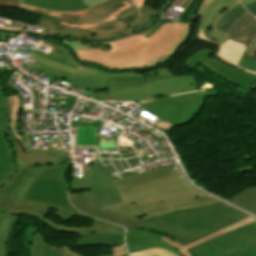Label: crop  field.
Returning <instances> with one entry per match:
<instances>
[{"label":"crop field","instance_id":"28ad6ade","mask_svg":"<svg viewBox=\"0 0 256 256\" xmlns=\"http://www.w3.org/2000/svg\"><path fill=\"white\" fill-rule=\"evenodd\" d=\"M219 202L211 196L152 204H118L105 209L150 222L171 213L199 208Z\"/></svg>","mask_w":256,"mask_h":256},{"label":"crop field","instance_id":"22f410ed","mask_svg":"<svg viewBox=\"0 0 256 256\" xmlns=\"http://www.w3.org/2000/svg\"><path fill=\"white\" fill-rule=\"evenodd\" d=\"M214 53L215 52L206 49L198 51L187 58L185 63L190 69L201 63L215 74L226 80L230 78L231 80H229V82L242 86L247 90L250 88L251 84L256 81V75L242 72L220 62V59L213 55Z\"/></svg>","mask_w":256,"mask_h":256},{"label":"crop field","instance_id":"8a807250","mask_svg":"<svg viewBox=\"0 0 256 256\" xmlns=\"http://www.w3.org/2000/svg\"><path fill=\"white\" fill-rule=\"evenodd\" d=\"M69 196L77 209L87 214L124 225L127 230L145 229L166 235L183 246L250 216L219 202L145 223L96 206L89 197V191L69 192Z\"/></svg>","mask_w":256,"mask_h":256},{"label":"crop field","instance_id":"c035e120","mask_svg":"<svg viewBox=\"0 0 256 256\" xmlns=\"http://www.w3.org/2000/svg\"><path fill=\"white\" fill-rule=\"evenodd\" d=\"M76 99H77L76 97L68 95L66 104L63 109L72 110V108L76 102Z\"/></svg>","mask_w":256,"mask_h":256},{"label":"crop field","instance_id":"3316defc","mask_svg":"<svg viewBox=\"0 0 256 256\" xmlns=\"http://www.w3.org/2000/svg\"><path fill=\"white\" fill-rule=\"evenodd\" d=\"M10 109L4 110L5 129L10 128L16 141L10 142L13 147V154L16 158L17 167L43 165V164H61L64 160H69L64 149L26 153L19 144L21 135L18 132V123L21 112L19 95L8 97Z\"/></svg>","mask_w":256,"mask_h":256},{"label":"crop field","instance_id":"5d738f31","mask_svg":"<svg viewBox=\"0 0 256 256\" xmlns=\"http://www.w3.org/2000/svg\"><path fill=\"white\" fill-rule=\"evenodd\" d=\"M134 1L139 8L146 2V0H134Z\"/></svg>","mask_w":256,"mask_h":256},{"label":"crop field","instance_id":"d32e631a","mask_svg":"<svg viewBox=\"0 0 256 256\" xmlns=\"http://www.w3.org/2000/svg\"><path fill=\"white\" fill-rule=\"evenodd\" d=\"M189 252L192 256H206V255L199 253L195 248L189 249ZM234 256H256V243L245 248L244 250L235 254Z\"/></svg>","mask_w":256,"mask_h":256},{"label":"crop field","instance_id":"d9b57169","mask_svg":"<svg viewBox=\"0 0 256 256\" xmlns=\"http://www.w3.org/2000/svg\"><path fill=\"white\" fill-rule=\"evenodd\" d=\"M3 214H14V215H26L33 216L40 220H42L48 227L65 233H78L77 237H81V233H120L124 234L125 229L111 225L107 222L95 219L91 227L88 228H78V227H67L64 225L56 224L51 222L50 220L44 218V214L37 212H23V211H11L7 209H3Z\"/></svg>","mask_w":256,"mask_h":256},{"label":"crop field","instance_id":"ae1a2a85","mask_svg":"<svg viewBox=\"0 0 256 256\" xmlns=\"http://www.w3.org/2000/svg\"><path fill=\"white\" fill-rule=\"evenodd\" d=\"M226 233L227 232L224 229H221V230H219V231H217V232H215L213 234H210V235H208V236H206V237H204V238H202V239H200L198 241L192 242V243H190V244H188V245H186L184 247L181 246L180 244H178L177 242L173 241L172 239L166 237V236H162V235H160V236L167 243H169V244L173 245L175 248H177L183 255L191 256L189 254V252L187 251V249L199 246V245L204 244L206 242H209V241H211L213 239H216V238H218V237H220V236H222V235H224Z\"/></svg>","mask_w":256,"mask_h":256},{"label":"crop field","instance_id":"120bbe31","mask_svg":"<svg viewBox=\"0 0 256 256\" xmlns=\"http://www.w3.org/2000/svg\"><path fill=\"white\" fill-rule=\"evenodd\" d=\"M9 108L7 98L0 99V130L5 133V136L7 137V141H14L15 138L13 134L10 132L9 129L4 130L3 126V109Z\"/></svg>","mask_w":256,"mask_h":256},{"label":"crop field","instance_id":"733c2abd","mask_svg":"<svg viewBox=\"0 0 256 256\" xmlns=\"http://www.w3.org/2000/svg\"><path fill=\"white\" fill-rule=\"evenodd\" d=\"M42 45L48 46L53 50L49 54L35 50V52L33 51L34 53L30 57V60L40 62L55 69L73 74L75 73L80 64L75 62L68 50H65L63 47L51 42L43 41Z\"/></svg>","mask_w":256,"mask_h":256},{"label":"crop field","instance_id":"bc2a9ffb","mask_svg":"<svg viewBox=\"0 0 256 256\" xmlns=\"http://www.w3.org/2000/svg\"><path fill=\"white\" fill-rule=\"evenodd\" d=\"M126 243L128 246V252H135L148 248L162 247L166 248L178 256H183L174 247L163 241L158 234H154L145 230H130L126 234Z\"/></svg>","mask_w":256,"mask_h":256},{"label":"crop field","instance_id":"5142ce71","mask_svg":"<svg viewBox=\"0 0 256 256\" xmlns=\"http://www.w3.org/2000/svg\"><path fill=\"white\" fill-rule=\"evenodd\" d=\"M22 199L38 200L64 208L70 206L66 181L39 175Z\"/></svg>","mask_w":256,"mask_h":256},{"label":"crop field","instance_id":"d1516ede","mask_svg":"<svg viewBox=\"0 0 256 256\" xmlns=\"http://www.w3.org/2000/svg\"><path fill=\"white\" fill-rule=\"evenodd\" d=\"M254 242H256V221L196 249L208 256H232Z\"/></svg>","mask_w":256,"mask_h":256},{"label":"crop field","instance_id":"028f5c9d","mask_svg":"<svg viewBox=\"0 0 256 256\" xmlns=\"http://www.w3.org/2000/svg\"><path fill=\"white\" fill-rule=\"evenodd\" d=\"M239 66L247 68V69L252 70V71H256V62L247 60L245 58H243L240 61Z\"/></svg>","mask_w":256,"mask_h":256},{"label":"crop field","instance_id":"425ffa30","mask_svg":"<svg viewBox=\"0 0 256 256\" xmlns=\"http://www.w3.org/2000/svg\"><path fill=\"white\" fill-rule=\"evenodd\" d=\"M1 29H5V30H21V29H16V28H12V27H0Z\"/></svg>","mask_w":256,"mask_h":256},{"label":"crop field","instance_id":"c21b1889","mask_svg":"<svg viewBox=\"0 0 256 256\" xmlns=\"http://www.w3.org/2000/svg\"><path fill=\"white\" fill-rule=\"evenodd\" d=\"M255 45H256V36L251 39L248 45L247 55H251V56L253 55Z\"/></svg>","mask_w":256,"mask_h":256},{"label":"crop field","instance_id":"b80d0937","mask_svg":"<svg viewBox=\"0 0 256 256\" xmlns=\"http://www.w3.org/2000/svg\"><path fill=\"white\" fill-rule=\"evenodd\" d=\"M125 254H127L125 246H113L112 253H111L112 256L125 255Z\"/></svg>","mask_w":256,"mask_h":256},{"label":"crop field","instance_id":"d3111659","mask_svg":"<svg viewBox=\"0 0 256 256\" xmlns=\"http://www.w3.org/2000/svg\"><path fill=\"white\" fill-rule=\"evenodd\" d=\"M246 13L247 11L241 5H238L222 16L216 28L227 32L232 24Z\"/></svg>","mask_w":256,"mask_h":256},{"label":"crop field","instance_id":"0bd39190","mask_svg":"<svg viewBox=\"0 0 256 256\" xmlns=\"http://www.w3.org/2000/svg\"><path fill=\"white\" fill-rule=\"evenodd\" d=\"M23 0H0V5L9 7H19Z\"/></svg>","mask_w":256,"mask_h":256},{"label":"crop field","instance_id":"34b2d1b8","mask_svg":"<svg viewBox=\"0 0 256 256\" xmlns=\"http://www.w3.org/2000/svg\"><path fill=\"white\" fill-rule=\"evenodd\" d=\"M87 10L61 12L59 24L89 30H109L138 18L139 12L131 0H84Z\"/></svg>","mask_w":256,"mask_h":256},{"label":"crop field","instance_id":"dafd665d","mask_svg":"<svg viewBox=\"0 0 256 256\" xmlns=\"http://www.w3.org/2000/svg\"><path fill=\"white\" fill-rule=\"evenodd\" d=\"M23 3L59 11L86 9L83 0H24Z\"/></svg>","mask_w":256,"mask_h":256},{"label":"crop field","instance_id":"f4fd0767","mask_svg":"<svg viewBox=\"0 0 256 256\" xmlns=\"http://www.w3.org/2000/svg\"><path fill=\"white\" fill-rule=\"evenodd\" d=\"M60 165H44L23 168H13L11 172L0 183V212L3 207L11 210L37 211L48 214L50 208H58L47 203L22 200L27 188L34 179L47 169L59 167ZM56 215L62 220H69L75 216L90 218L75 210L72 206L58 208ZM94 219V218H91Z\"/></svg>","mask_w":256,"mask_h":256},{"label":"crop field","instance_id":"a9b5d70f","mask_svg":"<svg viewBox=\"0 0 256 256\" xmlns=\"http://www.w3.org/2000/svg\"><path fill=\"white\" fill-rule=\"evenodd\" d=\"M13 167H16V164L12 148L9 142H6L4 133L0 131V182Z\"/></svg>","mask_w":256,"mask_h":256},{"label":"crop field","instance_id":"d8731c3e","mask_svg":"<svg viewBox=\"0 0 256 256\" xmlns=\"http://www.w3.org/2000/svg\"><path fill=\"white\" fill-rule=\"evenodd\" d=\"M30 69L41 70L45 73L70 80L72 81L71 85H74V88L103 92H106L105 87L145 85L146 80V74L139 75L138 71L127 73H107L96 68L83 65H80L79 70L75 75L55 70L44 65L40 68L31 66Z\"/></svg>","mask_w":256,"mask_h":256},{"label":"crop field","instance_id":"b54c1fbb","mask_svg":"<svg viewBox=\"0 0 256 256\" xmlns=\"http://www.w3.org/2000/svg\"><path fill=\"white\" fill-rule=\"evenodd\" d=\"M254 16H256V3L245 6Z\"/></svg>","mask_w":256,"mask_h":256},{"label":"crop field","instance_id":"e52e79f7","mask_svg":"<svg viewBox=\"0 0 256 256\" xmlns=\"http://www.w3.org/2000/svg\"><path fill=\"white\" fill-rule=\"evenodd\" d=\"M205 193L189 184L183 174L154 180L120 194L123 203H151L201 197Z\"/></svg>","mask_w":256,"mask_h":256},{"label":"crop field","instance_id":"750c4746","mask_svg":"<svg viewBox=\"0 0 256 256\" xmlns=\"http://www.w3.org/2000/svg\"><path fill=\"white\" fill-rule=\"evenodd\" d=\"M140 13H141V17L140 19L130 28L129 32L134 31L135 29L143 26L146 22L149 21L150 17L152 16V14L156 11L155 9L146 7V6H142L139 9ZM154 15V14H153Z\"/></svg>","mask_w":256,"mask_h":256},{"label":"crop field","instance_id":"bd1437ed","mask_svg":"<svg viewBox=\"0 0 256 256\" xmlns=\"http://www.w3.org/2000/svg\"><path fill=\"white\" fill-rule=\"evenodd\" d=\"M129 256H177V255H175L174 253L166 249L157 248V249H149V250L131 253L129 254Z\"/></svg>","mask_w":256,"mask_h":256},{"label":"crop field","instance_id":"4177f3b9","mask_svg":"<svg viewBox=\"0 0 256 256\" xmlns=\"http://www.w3.org/2000/svg\"><path fill=\"white\" fill-rule=\"evenodd\" d=\"M228 202L243 208L256 216V186L241 191Z\"/></svg>","mask_w":256,"mask_h":256},{"label":"crop field","instance_id":"d23c7cc5","mask_svg":"<svg viewBox=\"0 0 256 256\" xmlns=\"http://www.w3.org/2000/svg\"><path fill=\"white\" fill-rule=\"evenodd\" d=\"M245 58L256 61V48L253 57L245 55Z\"/></svg>","mask_w":256,"mask_h":256},{"label":"crop field","instance_id":"e1f06a70","mask_svg":"<svg viewBox=\"0 0 256 256\" xmlns=\"http://www.w3.org/2000/svg\"><path fill=\"white\" fill-rule=\"evenodd\" d=\"M253 221H255V219L252 218V217H250V218H248V219H246V220H243V221H241V222H239V223H236V224H234V225H232V226H230V227L225 228V230L228 231V232H230V231H232V230H234V229H237V228H239V227H242V226H244V225H246V224H248V223H251V222H253Z\"/></svg>","mask_w":256,"mask_h":256},{"label":"crop field","instance_id":"dd49c442","mask_svg":"<svg viewBox=\"0 0 256 256\" xmlns=\"http://www.w3.org/2000/svg\"><path fill=\"white\" fill-rule=\"evenodd\" d=\"M147 86L112 87L107 93L85 91L86 97L115 101H135L197 90L194 76H174L169 68H161L147 74Z\"/></svg>","mask_w":256,"mask_h":256},{"label":"crop field","instance_id":"ac0d7876","mask_svg":"<svg viewBox=\"0 0 256 256\" xmlns=\"http://www.w3.org/2000/svg\"><path fill=\"white\" fill-rule=\"evenodd\" d=\"M188 24L166 23L110 44V50L86 48L87 44L65 43L84 62L95 63L110 69L150 67L164 55L171 54L188 33ZM82 61V62H83Z\"/></svg>","mask_w":256,"mask_h":256},{"label":"crop field","instance_id":"1d83c4d3","mask_svg":"<svg viewBox=\"0 0 256 256\" xmlns=\"http://www.w3.org/2000/svg\"><path fill=\"white\" fill-rule=\"evenodd\" d=\"M69 165H70V160L61 164V166L59 168L48 170V171L44 172L42 175L66 180L65 174L67 172Z\"/></svg>","mask_w":256,"mask_h":256},{"label":"crop field","instance_id":"eef30255","mask_svg":"<svg viewBox=\"0 0 256 256\" xmlns=\"http://www.w3.org/2000/svg\"><path fill=\"white\" fill-rule=\"evenodd\" d=\"M17 216L0 213V256H6L10 227Z\"/></svg>","mask_w":256,"mask_h":256},{"label":"crop field","instance_id":"92a150f3","mask_svg":"<svg viewBox=\"0 0 256 256\" xmlns=\"http://www.w3.org/2000/svg\"><path fill=\"white\" fill-rule=\"evenodd\" d=\"M256 35V18L246 14L233 24L224 37L237 40L248 45L249 40Z\"/></svg>","mask_w":256,"mask_h":256},{"label":"crop field","instance_id":"73cf0c24","mask_svg":"<svg viewBox=\"0 0 256 256\" xmlns=\"http://www.w3.org/2000/svg\"><path fill=\"white\" fill-rule=\"evenodd\" d=\"M90 162H96V160L94 159V160H90Z\"/></svg>","mask_w":256,"mask_h":256},{"label":"crop field","instance_id":"214f88e0","mask_svg":"<svg viewBox=\"0 0 256 256\" xmlns=\"http://www.w3.org/2000/svg\"><path fill=\"white\" fill-rule=\"evenodd\" d=\"M198 38H200L202 41L210 42L219 45L218 51L215 54L217 57H219L224 63L229 64L231 66H234L242 71L250 72L256 74V72L249 71L247 69L238 67L239 61L244 57L246 54V48L247 46L244 44H241L237 41L228 39L223 45L213 41L210 39L205 30H199L198 31ZM199 39V40H200Z\"/></svg>","mask_w":256,"mask_h":256},{"label":"crop field","instance_id":"5a996713","mask_svg":"<svg viewBox=\"0 0 256 256\" xmlns=\"http://www.w3.org/2000/svg\"><path fill=\"white\" fill-rule=\"evenodd\" d=\"M217 92H192L179 96L149 100L150 103L138 106L146 111L175 125L189 123L197 112L203 107L205 96H217Z\"/></svg>","mask_w":256,"mask_h":256},{"label":"crop field","instance_id":"cbeb9de0","mask_svg":"<svg viewBox=\"0 0 256 256\" xmlns=\"http://www.w3.org/2000/svg\"><path fill=\"white\" fill-rule=\"evenodd\" d=\"M253 2L256 0H203L195 20L199 21L198 29H206L210 38L223 44L227 40L223 37L225 32L214 28L216 22L234 6Z\"/></svg>","mask_w":256,"mask_h":256},{"label":"crop field","instance_id":"5866460e","mask_svg":"<svg viewBox=\"0 0 256 256\" xmlns=\"http://www.w3.org/2000/svg\"><path fill=\"white\" fill-rule=\"evenodd\" d=\"M20 8H25V9H28V10H31V11L44 13V14H49V15H53V16H57V17H59V14H60V12H58V11L42 9V8H39V7L29 6V5H24V4H22Z\"/></svg>","mask_w":256,"mask_h":256},{"label":"crop field","instance_id":"4a817a6b","mask_svg":"<svg viewBox=\"0 0 256 256\" xmlns=\"http://www.w3.org/2000/svg\"><path fill=\"white\" fill-rule=\"evenodd\" d=\"M58 19L59 18L57 17L42 14L40 19L37 20L36 24L40 25V27L59 31L69 36L79 37L83 39L113 37L120 34H126L129 27L128 25H126L118 29L109 30V31H88V30L73 29V28L59 25L57 24Z\"/></svg>","mask_w":256,"mask_h":256},{"label":"crop field","instance_id":"03da06ac","mask_svg":"<svg viewBox=\"0 0 256 256\" xmlns=\"http://www.w3.org/2000/svg\"><path fill=\"white\" fill-rule=\"evenodd\" d=\"M62 256H80V255L74 253L73 251H71V250H69L67 248H64V250L62 252ZM125 256H127V255H125Z\"/></svg>","mask_w":256,"mask_h":256},{"label":"crop field","instance_id":"412701ff","mask_svg":"<svg viewBox=\"0 0 256 256\" xmlns=\"http://www.w3.org/2000/svg\"><path fill=\"white\" fill-rule=\"evenodd\" d=\"M83 164L84 177L72 179V191L90 190L93 201L102 207L121 203L119 193L154 179L170 176L168 167L132 175L113 182L100 170L96 163Z\"/></svg>","mask_w":256,"mask_h":256},{"label":"crop field","instance_id":"25e5ab78","mask_svg":"<svg viewBox=\"0 0 256 256\" xmlns=\"http://www.w3.org/2000/svg\"><path fill=\"white\" fill-rule=\"evenodd\" d=\"M6 97L1 86H0V98Z\"/></svg>","mask_w":256,"mask_h":256},{"label":"crop field","instance_id":"00972430","mask_svg":"<svg viewBox=\"0 0 256 256\" xmlns=\"http://www.w3.org/2000/svg\"><path fill=\"white\" fill-rule=\"evenodd\" d=\"M121 244H124V235H120V234H82V238H77L75 246L121 245Z\"/></svg>","mask_w":256,"mask_h":256},{"label":"crop field","instance_id":"730fd06b","mask_svg":"<svg viewBox=\"0 0 256 256\" xmlns=\"http://www.w3.org/2000/svg\"><path fill=\"white\" fill-rule=\"evenodd\" d=\"M63 248L52 247L36 232L30 245L31 256H61Z\"/></svg>","mask_w":256,"mask_h":256}]
</instances>
